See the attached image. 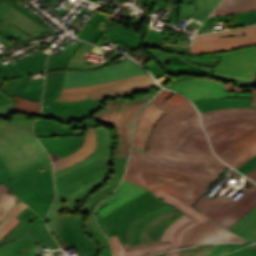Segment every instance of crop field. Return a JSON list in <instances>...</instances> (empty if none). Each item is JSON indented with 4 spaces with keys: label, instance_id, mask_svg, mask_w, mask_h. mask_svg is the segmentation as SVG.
<instances>
[{
    "label": "crop field",
    "instance_id": "crop-field-1",
    "mask_svg": "<svg viewBox=\"0 0 256 256\" xmlns=\"http://www.w3.org/2000/svg\"><path fill=\"white\" fill-rule=\"evenodd\" d=\"M96 135L97 148L92 155L54 173L57 198L46 221L62 249L74 247L81 256H98V244L86 234L82 216H59L58 213L65 209H93L121 183L127 164V159L117 158L118 146L113 149L110 130L96 129Z\"/></svg>",
    "mask_w": 256,
    "mask_h": 256
},
{
    "label": "crop field",
    "instance_id": "crop-field-2",
    "mask_svg": "<svg viewBox=\"0 0 256 256\" xmlns=\"http://www.w3.org/2000/svg\"><path fill=\"white\" fill-rule=\"evenodd\" d=\"M180 122L189 128L177 143L180 158L132 151L123 179L192 206L228 166L212 154L197 112Z\"/></svg>",
    "mask_w": 256,
    "mask_h": 256
},
{
    "label": "crop field",
    "instance_id": "crop-field-3",
    "mask_svg": "<svg viewBox=\"0 0 256 256\" xmlns=\"http://www.w3.org/2000/svg\"><path fill=\"white\" fill-rule=\"evenodd\" d=\"M256 106V96L252 102ZM214 152L239 168L256 156V109L228 108L201 114Z\"/></svg>",
    "mask_w": 256,
    "mask_h": 256
},
{
    "label": "crop field",
    "instance_id": "crop-field-4",
    "mask_svg": "<svg viewBox=\"0 0 256 256\" xmlns=\"http://www.w3.org/2000/svg\"><path fill=\"white\" fill-rule=\"evenodd\" d=\"M24 115L11 121L0 120V156L14 178L51 163V159L32 134V122Z\"/></svg>",
    "mask_w": 256,
    "mask_h": 256
},
{
    "label": "crop field",
    "instance_id": "crop-field-5",
    "mask_svg": "<svg viewBox=\"0 0 256 256\" xmlns=\"http://www.w3.org/2000/svg\"><path fill=\"white\" fill-rule=\"evenodd\" d=\"M151 102L167 114L158 120L146 152L179 157L176 143L188 129L179 121L196 112L184 97L163 89Z\"/></svg>",
    "mask_w": 256,
    "mask_h": 256
},
{
    "label": "crop field",
    "instance_id": "crop-field-6",
    "mask_svg": "<svg viewBox=\"0 0 256 256\" xmlns=\"http://www.w3.org/2000/svg\"><path fill=\"white\" fill-rule=\"evenodd\" d=\"M168 205L149 190L127 202L106 217L97 221L107 237L118 235L123 246L132 245V233L139 220L149 213Z\"/></svg>",
    "mask_w": 256,
    "mask_h": 256
},
{
    "label": "crop field",
    "instance_id": "crop-field-7",
    "mask_svg": "<svg viewBox=\"0 0 256 256\" xmlns=\"http://www.w3.org/2000/svg\"><path fill=\"white\" fill-rule=\"evenodd\" d=\"M4 184L45 219L55 197L51 164Z\"/></svg>",
    "mask_w": 256,
    "mask_h": 256
},
{
    "label": "crop field",
    "instance_id": "crop-field-8",
    "mask_svg": "<svg viewBox=\"0 0 256 256\" xmlns=\"http://www.w3.org/2000/svg\"><path fill=\"white\" fill-rule=\"evenodd\" d=\"M156 82L152 79L149 73L127 78L123 80L90 85L79 88H63L61 95L57 101L71 102L84 100L90 97L100 101H105L107 98L125 96L129 97L138 92L150 91L156 86Z\"/></svg>",
    "mask_w": 256,
    "mask_h": 256
},
{
    "label": "crop field",
    "instance_id": "crop-field-9",
    "mask_svg": "<svg viewBox=\"0 0 256 256\" xmlns=\"http://www.w3.org/2000/svg\"><path fill=\"white\" fill-rule=\"evenodd\" d=\"M244 180L250 182L246 178ZM239 191L244 194L236 201L228 197L224 198L220 195H217L214 199L203 196L193 207L229 229L256 206L255 184L249 189L241 187Z\"/></svg>",
    "mask_w": 256,
    "mask_h": 256
},
{
    "label": "crop field",
    "instance_id": "crop-field-10",
    "mask_svg": "<svg viewBox=\"0 0 256 256\" xmlns=\"http://www.w3.org/2000/svg\"><path fill=\"white\" fill-rule=\"evenodd\" d=\"M152 97L149 94L133 101L118 98L108 102L107 109L94 115L95 119L116 128L120 140L118 157L128 158L135 115Z\"/></svg>",
    "mask_w": 256,
    "mask_h": 256
},
{
    "label": "crop field",
    "instance_id": "crop-field-11",
    "mask_svg": "<svg viewBox=\"0 0 256 256\" xmlns=\"http://www.w3.org/2000/svg\"><path fill=\"white\" fill-rule=\"evenodd\" d=\"M160 189L155 193L156 196L162 198L167 203L173 205L175 208L186 214L184 217L175 221L170 227H168L166 232L164 233L162 241L171 240V244L124 253V256H146L161 251L176 250L178 249L181 235L188 228L194 226L197 223L208 220L206 217L198 213L190 206L186 205L177 198Z\"/></svg>",
    "mask_w": 256,
    "mask_h": 256
},
{
    "label": "crop field",
    "instance_id": "crop-field-12",
    "mask_svg": "<svg viewBox=\"0 0 256 256\" xmlns=\"http://www.w3.org/2000/svg\"><path fill=\"white\" fill-rule=\"evenodd\" d=\"M256 45V26L199 35L195 38L190 54L209 53L246 48Z\"/></svg>",
    "mask_w": 256,
    "mask_h": 256
},
{
    "label": "crop field",
    "instance_id": "crop-field-13",
    "mask_svg": "<svg viewBox=\"0 0 256 256\" xmlns=\"http://www.w3.org/2000/svg\"><path fill=\"white\" fill-rule=\"evenodd\" d=\"M147 73L131 60L95 70H65L63 87H79Z\"/></svg>",
    "mask_w": 256,
    "mask_h": 256
},
{
    "label": "crop field",
    "instance_id": "crop-field-14",
    "mask_svg": "<svg viewBox=\"0 0 256 256\" xmlns=\"http://www.w3.org/2000/svg\"><path fill=\"white\" fill-rule=\"evenodd\" d=\"M219 59H222V61L215 68L206 66L202 67L228 76L256 80V46L223 52V58Z\"/></svg>",
    "mask_w": 256,
    "mask_h": 256
},
{
    "label": "crop field",
    "instance_id": "crop-field-15",
    "mask_svg": "<svg viewBox=\"0 0 256 256\" xmlns=\"http://www.w3.org/2000/svg\"><path fill=\"white\" fill-rule=\"evenodd\" d=\"M47 105L50 108H47ZM103 109L102 102L92 101L90 98L85 101L63 103L54 101L43 104L42 117L54 119L65 125L72 121L79 122L93 113Z\"/></svg>",
    "mask_w": 256,
    "mask_h": 256
},
{
    "label": "crop field",
    "instance_id": "crop-field-16",
    "mask_svg": "<svg viewBox=\"0 0 256 256\" xmlns=\"http://www.w3.org/2000/svg\"><path fill=\"white\" fill-rule=\"evenodd\" d=\"M225 86V84L214 79H186L176 82L170 89L182 93L191 100L203 98L254 97L252 94L224 91Z\"/></svg>",
    "mask_w": 256,
    "mask_h": 256
},
{
    "label": "crop field",
    "instance_id": "crop-field-17",
    "mask_svg": "<svg viewBox=\"0 0 256 256\" xmlns=\"http://www.w3.org/2000/svg\"><path fill=\"white\" fill-rule=\"evenodd\" d=\"M218 242L246 241L219 224L208 220L187 230L180 240L179 249Z\"/></svg>",
    "mask_w": 256,
    "mask_h": 256
},
{
    "label": "crop field",
    "instance_id": "crop-field-18",
    "mask_svg": "<svg viewBox=\"0 0 256 256\" xmlns=\"http://www.w3.org/2000/svg\"><path fill=\"white\" fill-rule=\"evenodd\" d=\"M165 114L166 113H164L151 102L141 110L137 116L132 146L133 150H146L147 142L155 123Z\"/></svg>",
    "mask_w": 256,
    "mask_h": 256
},
{
    "label": "crop field",
    "instance_id": "crop-field-19",
    "mask_svg": "<svg viewBox=\"0 0 256 256\" xmlns=\"http://www.w3.org/2000/svg\"><path fill=\"white\" fill-rule=\"evenodd\" d=\"M93 126L99 124L90 119L84 120L82 124L72 122L65 126L50 119L40 118L34 123V134L36 137L84 135L85 130Z\"/></svg>",
    "mask_w": 256,
    "mask_h": 256
},
{
    "label": "crop field",
    "instance_id": "crop-field-20",
    "mask_svg": "<svg viewBox=\"0 0 256 256\" xmlns=\"http://www.w3.org/2000/svg\"><path fill=\"white\" fill-rule=\"evenodd\" d=\"M146 191L147 189L141 186L123 180L121 186L117 190L100 202L95 209V215L104 217L122 204Z\"/></svg>",
    "mask_w": 256,
    "mask_h": 256
},
{
    "label": "crop field",
    "instance_id": "crop-field-21",
    "mask_svg": "<svg viewBox=\"0 0 256 256\" xmlns=\"http://www.w3.org/2000/svg\"><path fill=\"white\" fill-rule=\"evenodd\" d=\"M0 16L5 19L4 21L0 22V30L13 24L33 38H36L47 31L38 23H36L35 21L30 19L23 13L19 12L4 1L0 4Z\"/></svg>",
    "mask_w": 256,
    "mask_h": 256
},
{
    "label": "crop field",
    "instance_id": "crop-field-22",
    "mask_svg": "<svg viewBox=\"0 0 256 256\" xmlns=\"http://www.w3.org/2000/svg\"><path fill=\"white\" fill-rule=\"evenodd\" d=\"M183 215L185 214L173 208L151 219L140 233V244L161 241L166 228Z\"/></svg>",
    "mask_w": 256,
    "mask_h": 256
},
{
    "label": "crop field",
    "instance_id": "crop-field-23",
    "mask_svg": "<svg viewBox=\"0 0 256 256\" xmlns=\"http://www.w3.org/2000/svg\"><path fill=\"white\" fill-rule=\"evenodd\" d=\"M49 152L53 162L77 151L84 136L38 138ZM78 147V148H76Z\"/></svg>",
    "mask_w": 256,
    "mask_h": 256
},
{
    "label": "crop field",
    "instance_id": "crop-field-24",
    "mask_svg": "<svg viewBox=\"0 0 256 256\" xmlns=\"http://www.w3.org/2000/svg\"><path fill=\"white\" fill-rule=\"evenodd\" d=\"M210 73V71L204 70L202 68L193 66L185 61L178 59L175 57L171 60L168 65L167 75L175 76V80L171 81L168 86L169 88L176 81L186 78H206V76Z\"/></svg>",
    "mask_w": 256,
    "mask_h": 256
},
{
    "label": "crop field",
    "instance_id": "crop-field-25",
    "mask_svg": "<svg viewBox=\"0 0 256 256\" xmlns=\"http://www.w3.org/2000/svg\"><path fill=\"white\" fill-rule=\"evenodd\" d=\"M96 147L95 127L87 129L81 148L74 154L53 163L54 172L73 165L75 162L89 156Z\"/></svg>",
    "mask_w": 256,
    "mask_h": 256
},
{
    "label": "crop field",
    "instance_id": "crop-field-26",
    "mask_svg": "<svg viewBox=\"0 0 256 256\" xmlns=\"http://www.w3.org/2000/svg\"><path fill=\"white\" fill-rule=\"evenodd\" d=\"M23 76L22 78L11 80L9 83H5L1 87V91L4 93L14 96L19 90H21L26 84H28L31 79L30 77L24 75L19 69H17L14 65L2 68L0 66V84L4 81L16 77Z\"/></svg>",
    "mask_w": 256,
    "mask_h": 256
},
{
    "label": "crop field",
    "instance_id": "crop-field-27",
    "mask_svg": "<svg viewBox=\"0 0 256 256\" xmlns=\"http://www.w3.org/2000/svg\"><path fill=\"white\" fill-rule=\"evenodd\" d=\"M252 100L253 99H239V98L204 99V100L193 101V103L196 105L200 113H203L211 110L228 108V107L256 108V107L250 106Z\"/></svg>",
    "mask_w": 256,
    "mask_h": 256
},
{
    "label": "crop field",
    "instance_id": "crop-field-28",
    "mask_svg": "<svg viewBox=\"0 0 256 256\" xmlns=\"http://www.w3.org/2000/svg\"><path fill=\"white\" fill-rule=\"evenodd\" d=\"M256 9V0H223L209 17Z\"/></svg>",
    "mask_w": 256,
    "mask_h": 256
},
{
    "label": "crop field",
    "instance_id": "crop-field-29",
    "mask_svg": "<svg viewBox=\"0 0 256 256\" xmlns=\"http://www.w3.org/2000/svg\"><path fill=\"white\" fill-rule=\"evenodd\" d=\"M64 80V70L46 73L43 103L59 97Z\"/></svg>",
    "mask_w": 256,
    "mask_h": 256
},
{
    "label": "crop field",
    "instance_id": "crop-field-30",
    "mask_svg": "<svg viewBox=\"0 0 256 256\" xmlns=\"http://www.w3.org/2000/svg\"><path fill=\"white\" fill-rule=\"evenodd\" d=\"M143 36L132 31L131 29L119 25L113 33L108 37V39L121 42L131 48L140 47L143 41Z\"/></svg>",
    "mask_w": 256,
    "mask_h": 256
},
{
    "label": "crop field",
    "instance_id": "crop-field-31",
    "mask_svg": "<svg viewBox=\"0 0 256 256\" xmlns=\"http://www.w3.org/2000/svg\"><path fill=\"white\" fill-rule=\"evenodd\" d=\"M36 246L28 234L23 235L17 240L0 246V256H18L24 250Z\"/></svg>",
    "mask_w": 256,
    "mask_h": 256
},
{
    "label": "crop field",
    "instance_id": "crop-field-32",
    "mask_svg": "<svg viewBox=\"0 0 256 256\" xmlns=\"http://www.w3.org/2000/svg\"><path fill=\"white\" fill-rule=\"evenodd\" d=\"M47 57V54L41 52L33 57H29L25 60H22L14 65L18 67L26 75L44 72Z\"/></svg>",
    "mask_w": 256,
    "mask_h": 256
},
{
    "label": "crop field",
    "instance_id": "crop-field-33",
    "mask_svg": "<svg viewBox=\"0 0 256 256\" xmlns=\"http://www.w3.org/2000/svg\"><path fill=\"white\" fill-rule=\"evenodd\" d=\"M82 44L78 41L75 46L69 45L60 56L50 54L46 72L66 69L68 61Z\"/></svg>",
    "mask_w": 256,
    "mask_h": 256
},
{
    "label": "crop field",
    "instance_id": "crop-field-34",
    "mask_svg": "<svg viewBox=\"0 0 256 256\" xmlns=\"http://www.w3.org/2000/svg\"><path fill=\"white\" fill-rule=\"evenodd\" d=\"M234 245L221 244L208 247L194 248L182 250L178 252V256H218L226 252L232 251Z\"/></svg>",
    "mask_w": 256,
    "mask_h": 256
},
{
    "label": "crop field",
    "instance_id": "crop-field-35",
    "mask_svg": "<svg viewBox=\"0 0 256 256\" xmlns=\"http://www.w3.org/2000/svg\"><path fill=\"white\" fill-rule=\"evenodd\" d=\"M27 207L28 206L21 201L7 213L4 220L2 219V223L0 222V240L3 239L12 229H14L21 222L15 217Z\"/></svg>",
    "mask_w": 256,
    "mask_h": 256
},
{
    "label": "crop field",
    "instance_id": "crop-field-36",
    "mask_svg": "<svg viewBox=\"0 0 256 256\" xmlns=\"http://www.w3.org/2000/svg\"><path fill=\"white\" fill-rule=\"evenodd\" d=\"M36 244L45 245L51 249L59 248L54 239L52 238L45 222L28 232ZM36 234V236H34Z\"/></svg>",
    "mask_w": 256,
    "mask_h": 256
},
{
    "label": "crop field",
    "instance_id": "crop-field-37",
    "mask_svg": "<svg viewBox=\"0 0 256 256\" xmlns=\"http://www.w3.org/2000/svg\"><path fill=\"white\" fill-rule=\"evenodd\" d=\"M20 201L6 186L0 185V222L6 213Z\"/></svg>",
    "mask_w": 256,
    "mask_h": 256
},
{
    "label": "crop field",
    "instance_id": "crop-field-38",
    "mask_svg": "<svg viewBox=\"0 0 256 256\" xmlns=\"http://www.w3.org/2000/svg\"><path fill=\"white\" fill-rule=\"evenodd\" d=\"M84 223H85V229L87 231V234L93 240H95L99 244L100 247L110 246L106 236L103 234V232L98 227L93 214H91L89 216V218Z\"/></svg>",
    "mask_w": 256,
    "mask_h": 256
},
{
    "label": "crop field",
    "instance_id": "crop-field-39",
    "mask_svg": "<svg viewBox=\"0 0 256 256\" xmlns=\"http://www.w3.org/2000/svg\"><path fill=\"white\" fill-rule=\"evenodd\" d=\"M44 79L31 81L20 92L16 94L21 98L40 102Z\"/></svg>",
    "mask_w": 256,
    "mask_h": 256
},
{
    "label": "crop field",
    "instance_id": "crop-field-40",
    "mask_svg": "<svg viewBox=\"0 0 256 256\" xmlns=\"http://www.w3.org/2000/svg\"><path fill=\"white\" fill-rule=\"evenodd\" d=\"M256 225V207L249 212L243 219L237 222L230 230L235 232L237 235H242L243 233L250 230Z\"/></svg>",
    "mask_w": 256,
    "mask_h": 256
},
{
    "label": "crop field",
    "instance_id": "crop-field-41",
    "mask_svg": "<svg viewBox=\"0 0 256 256\" xmlns=\"http://www.w3.org/2000/svg\"><path fill=\"white\" fill-rule=\"evenodd\" d=\"M14 99L17 104V111L28 114L40 115V103L21 99L16 96H14Z\"/></svg>",
    "mask_w": 256,
    "mask_h": 256
},
{
    "label": "crop field",
    "instance_id": "crop-field-42",
    "mask_svg": "<svg viewBox=\"0 0 256 256\" xmlns=\"http://www.w3.org/2000/svg\"><path fill=\"white\" fill-rule=\"evenodd\" d=\"M210 12L195 11V6L181 4L179 18L189 19V17H195L200 20L201 24L209 15Z\"/></svg>",
    "mask_w": 256,
    "mask_h": 256
},
{
    "label": "crop field",
    "instance_id": "crop-field-43",
    "mask_svg": "<svg viewBox=\"0 0 256 256\" xmlns=\"http://www.w3.org/2000/svg\"><path fill=\"white\" fill-rule=\"evenodd\" d=\"M256 24V10L234 14V28Z\"/></svg>",
    "mask_w": 256,
    "mask_h": 256
},
{
    "label": "crop field",
    "instance_id": "crop-field-44",
    "mask_svg": "<svg viewBox=\"0 0 256 256\" xmlns=\"http://www.w3.org/2000/svg\"><path fill=\"white\" fill-rule=\"evenodd\" d=\"M162 35L163 33H161V31L147 30L142 46H154L167 49L163 44Z\"/></svg>",
    "mask_w": 256,
    "mask_h": 256
},
{
    "label": "crop field",
    "instance_id": "crop-field-45",
    "mask_svg": "<svg viewBox=\"0 0 256 256\" xmlns=\"http://www.w3.org/2000/svg\"><path fill=\"white\" fill-rule=\"evenodd\" d=\"M16 218H18L19 220H21L22 222L28 224L33 228L39 225L40 223H42V221H44L29 207L26 210H24L20 215H18Z\"/></svg>",
    "mask_w": 256,
    "mask_h": 256
},
{
    "label": "crop field",
    "instance_id": "crop-field-46",
    "mask_svg": "<svg viewBox=\"0 0 256 256\" xmlns=\"http://www.w3.org/2000/svg\"><path fill=\"white\" fill-rule=\"evenodd\" d=\"M173 208L171 205H168L162 209H159L151 214H149L148 216H146L144 219H142L141 221L138 222V224L136 225L135 227V230H134V234H133V245H136V244H139V233L143 227V225L148 221L150 220L151 218H153L154 216H156L157 214L161 213V212H164L168 209H171Z\"/></svg>",
    "mask_w": 256,
    "mask_h": 256
},
{
    "label": "crop field",
    "instance_id": "crop-field-47",
    "mask_svg": "<svg viewBox=\"0 0 256 256\" xmlns=\"http://www.w3.org/2000/svg\"><path fill=\"white\" fill-rule=\"evenodd\" d=\"M31 227L27 226L24 223H20L14 230H12L2 241H0V245H3L5 243H8L10 241H13L17 239L18 237L22 236L23 234L30 231Z\"/></svg>",
    "mask_w": 256,
    "mask_h": 256
},
{
    "label": "crop field",
    "instance_id": "crop-field-48",
    "mask_svg": "<svg viewBox=\"0 0 256 256\" xmlns=\"http://www.w3.org/2000/svg\"><path fill=\"white\" fill-rule=\"evenodd\" d=\"M16 111V105L13 98L0 91V113H10Z\"/></svg>",
    "mask_w": 256,
    "mask_h": 256
},
{
    "label": "crop field",
    "instance_id": "crop-field-49",
    "mask_svg": "<svg viewBox=\"0 0 256 256\" xmlns=\"http://www.w3.org/2000/svg\"><path fill=\"white\" fill-rule=\"evenodd\" d=\"M221 0H197L196 10L212 11Z\"/></svg>",
    "mask_w": 256,
    "mask_h": 256
},
{
    "label": "crop field",
    "instance_id": "crop-field-50",
    "mask_svg": "<svg viewBox=\"0 0 256 256\" xmlns=\"http://www.w3.org/2000/svg\"><path fill=\"white\" fill-rule=\"evenodd\" d=\"M209 76L219 78V79H222L224 81L235 80L236 84L238 86H253V85H256V82L234 79V78H230V77H227V76L215 73V72H211Z\"/></svg>",
    "mask_w": 256,
    "mask_h": 256
},
{
    "label": "crop field",
    "instance_id": "crop-field-51",
    "mask_svg": "<svg viewBox=\"0 0 256 256\" xmlns=\"http://www.w3.org/2000/svg\"><path fill=\"white\" fill-rule=\"evenodd\" d=\"M108 239L112 245L113 256H122L124 248H123L118 236L110 237Z\"/></svg>",
    "mask_w": 256,
    "mask_h": 256
},
{
    "label": "crop field",
    "instance_id": "crop-field-52",
    "mask_svg": "<svg viewBox=\"0 0 256 256\" xmlns=\"http://www.w3.org/2000/svg\"><path fill=\"white\" fill-rule=\"evenodd\" d=\"M223 256H256V245L249 246Z\"/></svg>",
    "mask_w": 256,
    "mask_h": 256
},
{
    "label": "crop field",
    "instance_id": "crop-field-53",
    "mask_svg": "<svg viewBox=\"0 0 256 256\" xmlns=\"http://www.w3.org/2000/svg\"><path fill=\"white\" fill-rule=\"evenodd\" d=\"M12 178H13V176L11 175L8 168L6 167V165L4 164L2 159L0 158V184L2 182H5V181L10 180Z\"/></svg>",
    "mask_w": 256,
    "mask_h": 256
},
{
    "label": "crop field",
    "instance_id": "crop-field-54",
    "mask_svg": "<svg viewBox=\"0 0 256 256\" xmlns=\"http://www.w3.org/2000/svg\"><path fill=\"white\" fill-rule=\"evenodd\" d=\"M179 57H185V58H219L222 57V52L218 53H209V54H198V55H183V54H177Z\"/></svg>",
    "mask_w": 256,
    "mask_h": 256
},
{
    "label": "crop field",
    "instance_id": "crop-field-55",
    "mask_svg": "<svg viewBox=\"0 0 256 256\" xmlns=\"http://www.w3.org/2000/svg\"><path fill=\"white\" fill-rule=\"evenodd\" d=\"M168 243H170V241L151 243V244H143V245H137V246H130V247H126L124 252L134 251V250H139V249H144V248H149V247L163 245V244H168Z\"/></svg>",
    "mask_w": 256,
    "mask_h": 256
},
{
    "label": "crop field",
    "instance_id": "crop-field-56",
    "mask_svg": "<svg viewBox=\"0 0 256 256\" xmlns=\"http://www.w3.org/2000/svg\"><path fill=\"white\" fill-rule=\"evenodd\" d=\"M217 17L208 18L197 33L209 32L212 30Z\"/></svg>",
    "mask_w": 256,
    "mask_h": 256
},
{
    "label": "crop field",
    "instance_id": "crop-field-57",
    "mask_svg": "<svg viewBox=\"0 0 256 256\" xmlns=\"http://www.w3.org/2000/svg\"><path fill=\"white\" fill-rule=\"evenodd\" d=\"M232 85H233L232 82L228 83L225 90L236 91V92H246V93H252V94L256 95V88H253V89H241L239 87H234Z\"/></svg>",
    "mask_w": 256,
    "mask_h": 256
},
{
    "label": "crop field",
    "instance_id": "crop-field-58",
    "mask_svg": "<svg viewBox=\"0 0 256 256\" xmlns=\"http://www.w3.org/2000/svg\"><path fill=\"white\" fill-rule=\"evenodd\" d=\"M7 3H9L10 5H12L13 7H15L16 9L20 10L21 12H23L24 14H26L27 16H29L30 18H32L33 20H35L36 22H38L40 25H42L43 27H45L43 24H41L36 18H34L27 10H25L23 7L17 5L16 3H14L11 0H4ZM46 28V27H45ZM47 29V28H46ZM48 30V29H47ZM50 31V30H49ZM51 32V31H50ZM53 33V32H52ZM54 34V33H53ZM55 35V34H54ZM57 36V35H56Z\"/></svg>",
    "mask_w": 256,
    "mask_h": 256
},
{
    "label": "crop field",
    "instance_id": "crop-field-59",
    "mask_svg": "<svg viewBox=\"0 0 256 256\" xmlns=\"http://www.w3.org/2000/svg\"><path fill=\"white\" fill-rule=\"evenodd\" d=\"M255 167H256V157H254L252 160H250L249 162H247L246 164H244L242 167H240L237 170H239L240 172L245 174Z\"/></svg>",
    "mask_w": 256,
    "mask_h": 256
},
{
    "label": "crop field",
    "instance_id": "crop-field-60",
    "mask_svg": "<svg viewBox=\"0 0 256 256\" xmlns=\"http://www.w3.org/2000/svg\"><path fill=\"white\" fill-rule=\"evenodd\" d=\"M119 24L113 23L110 28L101 36V38L95 43L100 46L102 42L112 33V31L118 26Z\"/></svg>",
    "mask_w": 256,
    "mask_h": 256
},
{
    "label": "crop field",
    "instance_id": "crop-field-61",
    "mask_svg": "<svg viewBox=\"0 0 256 256\" xmlns=\"http://www.w3.org/2000/svg\"><path fill=\"white\" fill-rule=\"evenodd\" d=\"M241 237L247 239L250 242H256V226L247 233L243 234Z\"/></svg>",
    "mask_w": 256,
    "mask_h": 256
},
{
    "label": "crop field",
    "instance_id": "crop-field-62",
    "mask_svg": "<svg viewBox=\"0 0 256 256\" xmlns=\"http://www.w3.org/2000/svg\"><path fill=\"white\" fill-rule=\"evenodd\" d=\"M38 250H37V246L34 248H31L25 252H23L21 255L19 256H36L38 254Z\"/></svg>",
    "mask_w": 256,
    "mask_h": 256
},
{
    "label": "crop field",
    "instance_id": "crop-field-63",
    "mask_svg": "<svg viewBox=\"0 0 256 256\" xmlns=\"http://www.w3.org/2000/svg\"><path fill=\"white\" fill-rule=\"evenodd\" d=\"M99 256H112L110 247L100 248Z\"/></svg>",
    "mask_w": 256,
    "mask_h": 256
},
{
    "label": "crop field",
    "instance_id": "crop-field-64",
    "mask_svg": "<svg viewBox=\"0 0 256 256\" xmlns=\"http://www.w3.org/2000/svg\"><path fill=\"white\" fill-rule=\"evenodd\" d=\"M167 2L185 3V4H196V0H167Z\"/></svg>",
    "mask_w": 256,
    "mask_h": 256
},
{
    "label": "crop field",
    "instance_id": "crop-field-65",
    "mask_svg": "<svg viewBox=\"0 0 256 256\" xmlns=\"http://www.w3.org/2000/svg\"><path fill=\"white\" fill-rule=\"evenodd\" d=\"M179 7L180 4H177L171 22H178Z\"/></svg>",
    "mask_w": 256,
    "mask_h": 256
},
{
    "label": "crop field",
    "instance_id": "crop-field-66",
    "mask_svg": "<svg viewBox=\"0 0 256 256\" xmlns=\"http://www.w3.org/2000/svg\"><path fill=\"white\" fill-rule=\"evenodd\" d=\"M246 175L256 181V168L247 173Z\"/></svg>",
    "mask_w": 256,
    "mask_h": 256
},
{
    "label": "crop field",
    "instance_id": "crop-field-67",
    "mask_svg": "<svg viewBox=\"0 0 256 256\" xmlns=\"http://www.w3.org/2000/svg\"><path fill=\"white\" fill-rule=\"evenodd\" d=\"M162 4L166 5L165 2H158V1H156L155 10H154L155 13L158 12V10L160 9V7H161Z\"/></svg>",
    "mask_w": 256,
    "mask_h": 256
},
{
    "label": "crop field",
    "instance_id": "crop-field-68",
    "mask_svg": "<svg viewBox=\"0 0 256 256\" xmlns=\"http://www.w3.org/2000/svg\"><path fill=\"white\" fill-rule=\"evenodd\" d=\"M177 252H178V251H176V252H170V253H167V254L164 255V256H177Z\"/></svg>",
    "mask_w": 256,
    "mask_h": 256
},
{
    "label": "crop field",
    "instance_id": "crop-field-69",
    "mask_svg": "<svg viewBox=\"0 0 256 256\" xmlns=\"http://www.w3.org/2000/svg\"><path fill=\"white\" fill-rule=\"evenodd\" d=\"M231 172L234 173V177H235V178L238 179V178L241 177V176H240L238 173H236L234 170H231Z\"/></svg>",
    "mask_w": 256,
    "mask_h": 256
},
{
    "label": "crop field",
    "instance_id": "crop-field-70",
    "mask_svg": "<svg viewBox=\"0 0 256 256\" xmlns=\"http://www.w3.org/2000/svg\"><path fill=\"white\" fill-rule=\"evenodd\" d=\"M190 26H193V27H197V28H199V26H200V24H197V23H190Z\"/></svg>",
    "mask_w": 256,
    "mask_h": 256
},
{
    "label": "crop field",
    "instance_id": "crop-field-71",
    "mask_svg": "<svg viewBox=\"0 0 256 256\" xmlns=\"http://www.w3.org/2000/svg\"><path fill=\"white\" fill-rule=\"evenodd\" d=\"M2 2V0H0V3ZM2 20H4V19H2L1 17H0V21H2Z\"/></svg>",
    "mask_w": 256,
    "mask_h": 256
},
{
    "label": "crop field",
    "instance_id": "crop-field-72",
    "mask_svg": "<svg viewBox=\"0 0 256 256\" xmlns=\"http://www.w3.org/2000/svg\"><path fill=\"white\" fill-rule=\"evenodd\" d=\"M164 254H162V255H157V256H163Z\"/></svg>",
    "mask_w": 256,
    "mask_h": 256
},
{
    "label": "crop field",
    "instance_id": "crop-field-73",
    "mask_svg": "<svg viewBox=\"0 0 256 256\" xmlns=\"http://www.w3.org/2000/svg\"><path fill=\"white\" fill-rule=\"evenodd\" d=\"M44 1V0H43Z\"/></svg>",
    "mask_w": 256,
    "mask_h": 256
}]
</instances>
